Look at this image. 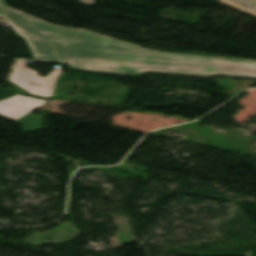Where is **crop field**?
Returning <instances> with one entry per match:
<instances>
[{
  "label": "crop field",
  "instance_id": "crop-field-6",
  "mask_svg": "<svg viewBox=\"0 0 256 256\" xmlns=\"http://www.w3.org/2000/svg\"><path fill=\"white\" fill-rule=\"evenodd\" d=\"M79 1H81L82 3H84V4H86V5H90V4L95 3L94 0H79Z\"/></svg>",
  "mask_w": 256,
  "mask_h": 256
},
{
  "label": "crop field",
  "instance_id": "crop-field-1",
  "mask_svg": "<svg viewBox=\"0 0 256 256\" xmlns=\"http://www.w3.org/2000/svg\"><path fill=\"white\" fill-rule=\"evenodd\" d=\"M0 17L27 40L35 60L69 63V68L131 74L152 71L256 77L255 65L221 63V58L150 51L87 31L54 27L6 7L2 0Z\"/></svg>",
  "mask_w": 256,
  "mask_h": 256
},
{
  "label": "crop field",
  "instance_id": "crop-field-4",
  "mask_svg": "<svg viewBox=\"0 0 256 256\" xmlns=\"http://www.w3.org/2000/svg\"><path fill=\"white\" fill-rule=\"evenodd\" d=\"M217 1L256 16V0H217Z\"/></svg>",
  "mask_w": 256,
  "mask_h": 256
},
{
  "label": "crop field",
  "instance_id": "crop-field-2",
  "mask_svg": "<svg viewBox=\"0 0 256 256\" xmlns=\"http://www.w3.org/2000/svg\"><path fill=\"white\" fill-rule=\"evenodd\" d=\"M26 62L16 61L15 68L9 78L10 82L22 87L32 95L51 98L56 80L62 70L55 69L49 76L39 78L37 77L38 72L25 67Z\"/></svg>",
  "mask_w": 256,
  "mask_h": 256
},
{
  "label": "crop field",
  "instance_id": "crop-field-5",
  "mask_svg": "<svg viewBox=\"0 0 256 256\" xmlns=\"http://www.w3.org/2000/svg\"><path fill=\"white\" fill-rule=\"evenodd\" d=\"M222 62H235V63H245V64H255L256 65V62H254V61L227 59V58H222Z\"/></svg>",
  "mask_w": 256,
  "mask_h": 256
},
{
  "label": "crop field",
  "instance_id": "crop-field-3",
  "mask_svg": "<svg viewBox=\"0 0 256 256\" xmlns=\"http://www.w3.org/2000/svg\"><path fill=\"white\" fill-rule=\"evenodd\" d=\"M44 103L45 101L16 95L0 102V116L18 120Z\"/></svg>",
  "mask_w": 256,
  "mask_h": 256
}]
</instances>
